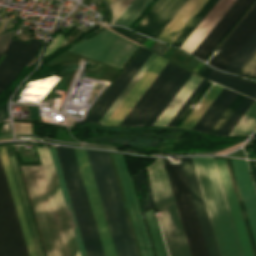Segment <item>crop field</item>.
Segmentation results:
<instances>
[{
    "label": "crop field",
    "mask_w": 256,
    "mask_h": 256,
    "mask_svg": "<svg viewBox=\"0 0 256 256\" xmlns=\"http://www.w3.org/2000/svg\"><path fill=\"white\" fill-rule=\"evenodd\" d=\"M213 158L214 159H224V161H225V164H226V167H227L230 179H231V183H232V186H233V189H234L237 201H238V205H239V208L241 211V215H242L245 229H246V232L248 235L252 253H253V256H256V245H255V242H256V194L252 188V184H251L250 178L248 176L247 163H246V161L232 159V163H233L234 170H235V173L237 176L241 194H242V197L244 200V204H245L248 218L250 221V225H251V228L253 231L255 242H254L251 228H250V225L248 222L244 204H243V201L241 198L239 187H238V184L236 181L234 170H233V167L231 164V160H230V158H227V157H213ZM214 161H215V165L217 168V172H218L221 186H222V189L224 192V196L226 199V203L228 206V210L230 213V217H231L232 224H233V227L235 230V234L237 237V241L239 244L241 254H242V256H252L249 242L247 239V235H246L244 225L242 222V218L240 215V211H239V208L237 205V201H236V198H235V195H234V192H233L230 180H229V176H228L224 161L223 160H214ZM226 161L231 169L237 193L235 191L234 184H233Z\"/></svg>",
    "instance_id": "crop-field-1"
},
{
    "label": "crop field",
    "mask_w": 256,
    "mask_h": 256,
    "mask_svg": "<svg viewBox=\"0 0 256 256\" xmlns=\"http://www.w3.org/2000/svg\"><path fill=\"white\" fill-rule=\"evenodd\" d=\"M118 256H138L108 152L86 150Z\"/></svg>",
    "instance_id": "crop-field-2"
},
{
    "label": "crop field",
    "mask_w": 256,
    "mask_h": 256,
    "mask_svg": "<svg viewBox=\"0 0 256 256\" xmlns=\"http://www.w3.org/2000/svg\"><path fill=\"white\" fill-rule=\"evenodd\" d=\"M221 256H241L212 157H192Z\"/></svg>",
    "instance_id": "crop-field-3"
},
{
    "label": "crop field",
    "mask_w": 256,
    "mask_h": 256,
    "mask_svg": "<svg viewBox=\"0 0 256 256\" xmlns=\"http://www.w3.org/2000/svg\"><path fill=\"white\" fill-rule=\"evenodd\" d=\"M158 213H162L161 224L170 256H190L166 169L162 159L145 167Z\"/></svg>",
    "instance_id": "crop-field-4"
},
{
    "label": "crop field",
    "mask_w": 256,
    "mask_h": 256,
    "mask_svg": "<svg viewBox=\"0 0 256 256\" xmlns=\"http://www.w3.org/2000/svg\"><path fill=\"white\" fill-rule=\"evenodd\" d=\"M48 256H68L42 166L22 167Z\"/></svg>",
    "instance_id": "crop-field-5"
},
{
    "label": "crop field",
    "mask_w": 256,
    "mask_h": 256,
    "mask_svg": "<svg viewBox=\"0 0 256 256\" xmlns=\"http://www.w3.org/2000/svg\"><path fill=\"white\" fill-rule=\"evenodd\" d=\"M164 161H180L165 158ZM191 256H208L180 162H165Z\"/></svg>",
    "instance_id": "crop-field-6"
},
{
    "label": "crop field",
    "mask_w": 256,
    "mask_h": 256,
    "mask_svg": "<svg viewBox=\"0 0 256 256\" xmlns=\"http://www.w3.org/2000/svg\"><path fill=\"white\" fill-rule=\"evenodd\" d=\"M185 72L169 62L120 125H145Z\"/></svg>",
    "instance_id": "crop-field-7"
},
{
    "label": "crop field",
    "mask_w": 256,
    "mask_h": 256,
    "mask_svg": "<svg viewBox=\"0 0 256 256\" xmlns=\"http://www.w3.org/2000/svg\"><path fill=\"white\" fill-rule=\"evenodd\" d=\"M137 47L105 29L100 34L74 45L70 52L122 68Z\"/></svg>",
    "instance_id": "crop-field-8"
},
{
    "label": "crop field",
    "mask_w": 256,
    "mask_h": 256,
    "mask_svg": "<svg viewBox=\"0 0 256 256\" xmlns=\"http://www.w3.org/2000/svg\"><path fill=\"white\" fill-rule=\"evenodd\" d=\"M0 256H29L0 160Z\"/></svg>",
    "instance_id": "crop-field-9"
},
{
    "label": "crop field",
    "mask_w": 256,
    "mask_h": 256,
    "mask_svg": "<svg viewBox=\"0 0 256 256\" xmlns=\"http://www.w3.org/2000/svg\"><path fill=\"white\" fill-rule=\"evenodd\" d=\"M106 256H117L85 149L74 148Z\"/></svg>",
    "instance_id": "crop-field-10"
},
{
    "label": "crop field",
    "mask_w": 256,
    "mask_h": 256,
    "mask_svg": "<svg viewBox=\"0 0 256 256\" xmlns=\"http://www.w3.org/2000/svg\"><path fill=\"white\" fill-rule=\"evenodd\" d=\"M255 31L256 3L220 45L219 53L214 55L207 63L224 70Z\"/></svg>",
    "instance_id": "crop-field-11"
},
{
    "label": "crop field",
    "mask_w": 256,
    "mask_h": 256,
    "mask_svg": "<svg viewBox=\"0 0 256 256\" xmlns=\"http://www.w3.org/2000/svg\"><path fill=\"white\" fill-rule=\"evenodd\" d=\"M40 45L41 42L33 37L29 44L11 39L5 51L7 55L0 63V93L16 78L23 67L28 64Z\"/></svg>",
    "instance_id": "crop-field-12"
},
{
    "label": "crop field",
    "mask_w": 256,
    "mask_h": 256,
    "mask_svg": "<svg viewBox=\"0 0 256 256\" xmlns=\"http://www.w3.org/2000/svg\"><path fill=\"white\" fill-rule=\"evenodd\" d=\"M61 225L69 256H79L48 147L37 146Z\"/></svg>",
    "instance_id": "crop-field-13"
},
{
    "label": "crop field",
    "mask_w": 256,
    "mask_h": 256,
    "mask_svg": "<svg viewBox=\"0 0 256 256\" xmlns=\"http://www.w3.org/2000/svg\"><path fill=\"white\" fill-rule=\"evenodd\" d=\"M209 256H220L191 157L180 158Z\"/></svg>",
    "instance_id": "crop-field-14"
},
{
    "label": "crop field",
    "mask_w": 256,
    "mask_h": 256,
    "mask_svg": "<svg viewBox=\"0 0 256 256\" xmlns=\"http://www.w3.org/2000/svg\"><path fill=\"white\" fill-rule=\"evenodd\" d=\"M151 53L152 52L142 47L140 48L137 54L133 57V59L119 75V77L115 80V82L111 85L108 91L104 94L101 100L87 116V121L98 123L104 113L112 105V103L119 96V94L122 92V90L129 83V81L132 79V77L135 75V73L138 71V69L142 66V64Z\"/></svg>",
    "instance_id": "crop-field-15"
},
{
    "label": "crop field",
    "mask_w": 256,
    "mask_h": 256,
    "mask_svg": "<svg viewBox=\"0 0 256 256\" xmlns=\"http://www.w3.org/2000/svg\"><path fill=\"white\" fill-rule=\"evenodd\" d=\"M57 156L61 165V169L65 178V182L69 191V195L73 204V208L77 217V221L84 240L87 256H97L93 240L90 234L86 216L83 210L81 199L78 193L76 182L73 176L69 158L65 147H55Z\"/></svg>",
    "instance_id": "crop-field-16"
},
{
    "label": "crop field",
    "mask_w": 256,
    "mask_h": 256,
    "mask_svg": "<svg viewBox=\"0 0 256 256\" xmlns=\"http://www.w3.org/2000/svg\"><path fill=\"white\" fill-rule=\"evenodd\" d=\"M187 0H157L134 30L154 38L163 30Z\"/></svg>",
    "instance_id": "crop-field-17"
},
{
    "label": "crop field",
    "mask_w": 256,
    "mask_h": 256,
    "mask_svg": "<svg viewBox=\"0 0 256 256\" xmlns=\"http://www.w3.org/2000/svg\"><path fill=\"white\" fill-rule=\"evenodd\" d=\"M167 63L157 56L105 124L119 125Z\"/></svg>",
    "instance_id": "crop-field-18"
},
{
    "label": "crop field",
    "mask_w": 256,
    "mask_h": 256,
    "mask_svg": "<svg viewBox=\"0 0 256 256\" xmlns=\"http://www.w3.org/2000/svg\"><path fill=\"white\" fill-rule=\"evenodd\" d=\"M253 0H236L192 54L202 59L212 51ZM202 48V50H200Z\"/></svg>",
    "instance_id": "crop-field-19"
},
{
    "label": "crop field",
    "mask_w": 256,
    "mask_h": 256,
    "mask_svg": "<svg viewBox=\"0 0 256 256\" xmlns=\"http://www.w3.org/2000/svg\"><path fill=\"white\" fill-rule=\"evenodd\" d=\"M112 154H113L116 166H117L120 181L122 183L125 199H126V202H127L129 212H130V216H131V218L133 220V223H134V226H135V230H136L139 245H140L141 254H142V256H152V252H151L150 245H149V242H148V238H147V235H146V232H145V228H144L143 221H142V218H141V214H140V211H139V207H138V204H137V201H136V197H135V194H134L132 183H131V180H130V177H129L127 166H126V163H125V160H124V156L120 155V154H114V153H112ZM131 201L134 205L135 213H136L139 225H140V229H141V233H142V236H143V240H144V243H145L147 253L145 251L144 243H143V240H142V237H141V234H140V231H139V228H138V225H137L134 213H133Z\"/></svg>",
    "instance_id": "crop-field-20"
},
{
    "label": "crop field",
    "mask_w": 256,
    "mask_h": 256,
    "mask_svg": "<svg viewBox=\"0 0 256 256\" xmlns=\"http://www.w3.org/2000/svg\"><path fill=\"white\" fill-rule=\"evenodd\" d=\"M134 177H135V180H136V184H137L139 193L141 195V202H142L143 211L144 212L147 211L148 207H147V203H146V199H145V195H144L142 182H143V184L145 186V189H146L149 209L154 208L155 205H154L153 197H152V194H151V191H150V188H149L148 179H147L145 169H142L140 172H138L136 175H134ZM141 180H142V182H141ZM153 210H156V209L154 208L150 211H153ZM150 211H147V212H150ZM147 212H145V213H147ZM146 215H147V219H148V222H149V225H150V229H151V232H152V236H153V239H154V243H155V246H156V249H157L158 256H167V253H166V250H165V247H164V243H163V240H162V237H161L162 233L160 234V230H159V227H158V224H157L156 217L154 216V213L150 212V213H147ZM146 215H145V218H146ZM147 219H146V221H147ZM148 222H147V225H148ZM148 228H149V226H148ZM150 229H149V232H150ZM151 232H150V235H151ZM152 236H151V239H152ZM153 239H152V242H153ZM154 243H153V245H154ZM155 246H154V249H155ZM155 252H156V250H155ZM157 253H156V256H157Z\"/></svg>",
    "instance_id": "crop-field-21"
},
{
    "label": "crop field",
    "mask_w": 256,
    "mask_h": 256,
    "mask_svg": "<svg viewBox=\"0 0 256 256\" xmlns=\"http://www.w3.org/2000/svg\"><path fill=\"white\" fill-rule=\"evenodd\" d=\"M5 148H6L8 159H9V162H10V165H11V169H12V172H13V176H14L15 183H16V186H17V190H18V193H19V197H20V200H21V203H22V207H23V210H24V214H25V217H26V221H27V224H28V228H29L30 235H31V238H32V241H33V245H34V248H35L36 255L37 256H45L44 252H43V249H42L40 239H39V235H38V232H37V229H36V225H35V222H34V219H33V215H32L31 209H30L28 198H27V195H26V192H25V188H24V185H23V182H22V178H21V175H20V172H19V168H18V165H17V162H16L15 155H14V153H12L10 155L8 153V151H10V150L13 151V148H12V146H6Z\"/></svg>",
    "instance_id": "crop-field-22"
},
{
    "label": "crop field",
    "mask_w": 256,
    "mask_h": 256,
    "mask_svg": "<svg viewBox=\"0 0 256 256\" xmlns=\"http://www.w3.org/2000/svg\"><path fill=\"white\" fill-rule=\"evenodd\" d=\"M229 1L232 2L233 0ZM233 2L230 3L226 0H219L212 10L207 14V16L202 20V22L197 26V28L192 32V34L187 38V40L182 44L181 48L192 53L203 38L208 34V32L213 28V26L218 22V20L223 16V14L228 10V8L233 4Z\"/></svg>",
    "instance_id": "crop-field-23"
},
{
    "label": "crop field",
    "mask_w": 256,
    "mask_h": 256,
    "mask_svg": "<svg viewBox=\"0 0 256 256\" xmlns=\"http://www.w3.org/2000/svg\"><path fill=\"white\" fill-rule=\"evenodd\" d=\"M206 1L207 0H188L159 34L157 39L171 44Z\"/></svg>",
    "instance_id": "crop-field-24"
},
{
    "label": "crop field",
    "mask_w": 256,
    "mask_h": 256,
    "mask_svg": "<svg viewBox=\"0 0 256 256\" xmlns=\"http://www.w3.org/2000/svg\"><path fill=\"white\" fill-rule=\"evenodd\" d=\"M66 148H67V152H68V155H69V158H70L72 169H73V172H74V175H75V179H76V182H77L79 193H80V196H81V199H82L84 210H85V213H86V216H87L89 227H90V230H91V233H92V237H93V240H94V244H95V247H96L97 254H98V256H105L103 248H102V244H101V241H100V238H99V234H98V231H97V228H96L95 220H94V217L92 215L90 204H89V201H88V198H87V194H86V191H85V187H84V184H83V180H82V177H81L79 166H78V163H77V160H76L74 149L69 148V147H66Z\"/></svg>",
    "instance_id": "crop-field-25"
},
{
    "label": "crop field",
    "mask_w": 256,
    "mask_h": 256,
    "mask_svg": "<svg viewBox=\"0 0 256 256\" xmlns=\"http://www.w3.org/2000/svg\"><path fill=\"white\" fill-rule=\"evenodd\" d=\"M202 78L191 75L185 85L181 88L175 98L171 101L165 111L161 114L154 125L167 126L176 112L179 110L180 106L186 101L190 94L194 91L197 85L201 82Z\"/></svg>",
    "instance_id": "crop-field-26"
},
{
    "label": "crop field",
    "mask_w": 256,
    "mask_h": 256,
    "mask_svg": "<svg viewBox=\"0 0 256 256\" xmlns=\"http://www.w3.org/2000/svg\"><path fill=\"white\" fill-rule=\"evenodd\" d=\"M0 156H1V159H2V163H3L4 170H5V173H6V176H7V180H8L9 187H10V190H11V193H12V197H13V200H14V204H15V207H16V210H17L19 220H20V224H21V227H22V231H23V234H24V237H25V241H26V244H27L29 254H30V256H36L35 252H34L32 242H31V238H30V235H29V231H28V228H27V224H26V221H25V217H24V214H23V210H22V207H21V204H20V200H19V197H18V193H17V190H16V186H15V183H14V179H13V176H12V172H11V169H10V166H9V162H8L7 155H6L4 147L0 148Z\"/></svg>",
    "instance_id": "crop-field-27"
},
{
    "label": "crop field",
    "mask_w": 256,
    "mask_h": 256,
    "mask_svg": "<svg viewBox=\"0 0 256 256\" xmlns=\"http://www.w3.org/2000/svg\"><path fill=\"white\" fill-rule=\"evenodd\" d=\"M49 148H50V152H51L52 159H53V162H54V166H55V169H56V173H57V176H58V180H59V183H60V187H61V190H62V194H63V197H64V201H65V204H66V207H67V211H68V214H69V218H70V221H71V225H72V228H73V232H74V235H75V239H76V242H77V246H78V249H79L80 256H86L85 248H84V245H83V242H82V239H81V235H80V231H79V228H78L75 216H74V212H73V209H72V206H71V202H70V199H69V196H68V192H67V189H66V186H65V182H64V179H63V176H62V172H61V169H60V166H59V162H58V159H57V156H56L55 149H54V147H49Z\"/></svg>",
    "instance_id": "crop-field-28"
},
{
    "label": "crop field",
    "mask_w": 256,
    "mask_h": 256,
    "mask_svg": "<svg viewBox=\"0 0 256 256\" xmlns=\"http://www.w3.org/2000/svg\"><path fill=\"white\" fill-rule=\"evenodd\" d=\"M208 78L252 96L256 93V83L252 81H242L238 78L215 70L211 72Z\"/></svg>",
    "instance_id": "crop-field-29"
},
{
    "label": "crop field",
    "mask_w": 256,
    "mask_h": 256,
    "mask_svg": "<svg viewBox=\"0 0 256 256\" xmlns=\"http://www.w3.org/2000/svg\"><path fill=\"white\" fill-rule=\"evenodd\" d=\"M223 87L218 85H214V87L210 90V92L206 95V97L200 103L201 105L197 110L193 109L189 116L182 123V127L192 129L196 122L200 119V117L204 114L207 108L211 105V103L215 100L218 94L222 91Z\"/></svg>",
    "instance_id": "crop-field-30"
},
{
    "label": "crop field",
    "mask_w": 256,
    "mask_h": 256,
    "mask_svg": "<svg viewBox=\"0 0 256 256\" xmlns=\"http://www.w3.org/2000/svg\"><path fill=\"white\" fill-rule=\"evenodd\" d=\"M255 50L256 32L245 44V46L240 50L236 57L231 61V63L226 67L225 71L237 73L239 69L244 65V63L249 59V57L254 53Z\"/></svg>",
    "instance_id": "crop-field-31"
},
{
    "label": "crop field",
    "mask_w": 256,
    "mask_h": 256,
    "mask_svg": "<svg viewBox=\"0 0 256 256\" xmlns=\"http://www.w3.org/2000/svg\"><path fill=\"white\" fill-rule=\"evenodd\" d=\"M256 128V100L233 128L229 135L251 134Z\"/></svg>",
    "instance_id": "crop-field-32"
},
{
    "label": "crop field",
    "mask_w": 256,
    "mask_h": 256,
    "mask_svg": "<svg viewBox=\"0 0 256 256\" xmlns=\"http://www.w3.org/2000/svg\"><path fill=\"white\" fill-rule=\"evenodd\" d=\"M216 2L217 0H208L200 9V11L195 15V17L190 21V23L185 27V29L180 33V35L175 39L172 45L179 47Z\"/></svg>",
    "instance_id": "crop-field-33"
},
{
    "label": "crop field",
    "mask_w": 256,
    "mask_h": 256,
    "mask_svg": "<svg viewBox=\"0 0 256 256\" xmlns=\"http://www.w3.org/2000/svg\"><path fill=\"white\" fill-rule=\"evenodd\" d=\"M157 55L151 54V56L148 58V60L144 63V65L141 67V69L138 71V73L134 76V78L131 80V82L127 85V87L124 89V91L120 94V96L117 98V100L113 103V105L110 107V109L107 111V113L103 116V118L100 120L99 123L104 124L105 121L108 119V117L112 114V112L116 109V107L119 105V103L123 100V98L126 96V94L130 91V89L133 87V85L137 82V80L140 78V76L143 74V72L147 69V67L150 65V63L153 61V59Z\"/></svg>",
    "instance_id": "crop-field-34"
},
{
    "label": "crop field",
    "mask_w": 256,
    "mask_h": 256,
    "mask_svg": "<svg viewBox=\"0 0 256 256\" xmlns=\"http://www.w3.org/2000/svg\"><path fill=\"white\" fill-rule=\"evenodd\" d=\"M148 0H133L114 24L127 26Z\"/></svg>",
    "instance_id": "crop-field-35"
},
{
    "label": "crop field",
    "mask_w": 256,
    "mask_h": 256,
    "mask_svg": "<svg viewBox=\"0 0 256 256\" xmlns=\"http://www.w3.org/2000/svg\"><path fill=\"white\" fill-rule=\"evenodd\" d=\"M238 93L233 91L227 96V98L223 101L220 107L216 110V112L212 115L209 121L205 124L201 131L209 132L210 129L214 126V124L218 121V119L222 116L225 110L229 107V105L233 102V100L237 97Z\"/></svg>",
    "instance_id": "crop-field-36"
},
{
    "label": "crop field",
    "mask_w": 256,
    "mask_h": 256,
    "mask_svg": "<svg viewBox=\"0 0 256 256\" xmlns=\"http://www.w3.org/2000/svg\"><path fill=\"white\" fill-rule=\"evenodd\" d=\"M192 73L186 72V74L183 76V78L179 81V83L175 86V88L172 90V92L168 95V97L165 99V101L161 104V106L158 108V110L154 113V115L150 118V120L147 122L146 125H153L154 122L157 120V118L160 116V114L164 111V109L167 107V105L170 103V101L174 98V96L177 94V92L180 90V88L184 85V83L187 81V79L190 77Z\"/></svg>",
    "instance_id": "crop-field-37"
},
{
    "label": "crop field",
    "mask_w": 256,
    "mask_h": 256,
    "mask_svg": "<svg viewBox=\"0 0 256 256\" xmlns=\"http://www.w3.org/2000/svg\"><path fill=\"white\" fill-rule=\"evenodd\" d=\"M230 90L224 88L223 91L220 93V95L216 98V100L212 103V105L209 107V109L205 112V114L201 117V119L198 121V123L194 126L193 129L195 130H201V128L204 126V124L208 121V119L211 117V115L215 112V110L219 107V105L222 103V101L226 98V96L229 94Z\"/></svg>",
    "instance_id": "crop-field-38"
},
{
    "label": "crop field",
    "mask_w": 256,
    "mask_h": 256,
    "mask_svg": "<svg viewBox=\"0 0 256 256\" xmlns=\"http://www.w3.org/2000/svg\"><path fill=\"white\" fill-rule=\"evenodd\" d=\"M250 100H251V98H249L247 96L244 97V99L241 101V103L238 105V107L234 110V112L231 114V116L228 118V120L224 123V125L218 131V133H217L218 135L225 134V132L232 125V123L236 120V118L243 111V109L247 106V104L250 102Z\"/></svg>",
    "instance_id": "crop-field-39"
},
{
    "label": "crop field",
    "mask_w": 256,
    "mask_h": 256,
    "mask_svg": "<svg viewBox=\"0 0 256 256\" xmlns=\"http://www.w3.org/2000/svg\"><path fill=\"white\" fill-rule=\"evenodd\" d=\"M244 95L239 94L238 97L234 100V102L230 105V107L226 110L223 116L219 119V121L215 124V126L211 129L210 133L216 134L223 123L227 120L233 110L237 107L240 101L243 99Z\"/></svg>",
    "instance_id": "crop-field-40"
},
{
    "label": "crop field",
    "mask_w": 256,
    "mask_h": 256,
    "mask_svg": "<svg viewBox=\"0 0 256 256\" xmlns=\"http://www.w3.org/2000/svg\"><path fill=\"white\" fill-rule=\"evenodd\" d=\"M132 0H113L110 4L113 16L110 24H113L114 21L119 17V15L124 11L128 4Z\"/></svg>",
    "instance_id": "crop-field-41"
},
{
    "label": "crop field",
    "mask_w": 256,
    "mask_h": 256,
    "mask_svg": "<svg viewBox=\"0 0 256 256\" xmlns=\"http://www.w3.org/2000/svg\"><path fill=\"white\" fill-rule=\"evenodd\" d=\"M256 78V51L238 72Z\"/></svg>",
    "instance_id": "crop-field-42"
},
{
    "label": "crop field",
    "mask_w": 256,
    "mask_h": 256,
    "mask_svg": "<svg viewBox=\"0 0 256 256\" xmlns=\"http://www.w3.org/2000/svg\"><path fill=\"white\" fill-rule=\"evenodd\" d=\"M211 82L207 81L203 88L199 91V93L195 96L192 102L188 105L185 111L181 114V116L177 119L173 126H178L179 123L183 120V118L188 114L189 108L194 106V104L198 101V99L202 96V94L206 91V89L210 86Z\"/></svg>",
    "instance_id": "crop-field-43"
},
{
    "label": "crop field",
    "mask_w": 256,
    "mask_h": 256,
    "mask_svg": "<svg viewBox=\"0 0 256 256\" xmlns=\"http://www.w3.org/2000/svg\"><path fill=\"white\" fill-rule=\"evenodd\" d=\"M111 28L117 30L118 32L122 33L123 35H125V36H127V37H129V38H131V39L141 43V44L146 39V37L141 36L139 34H136V33L132 32V31L126 29V28H119V27H111Z\"/></svg>",
    "instance_id": "crop-field-44"
},
{
    "label": "crop field",
    "mask_w": 256,
    "mask_h": 256,
    "mask_svg": "<svg viewBox=\"0 0 256 256\" xmlns=\"http://www.w3.org/2000/svg\"><path fill=\"white\" fill-rule=\"evenodd\" d=\"M206 80H202V82L199 84V86L195 89V91L191 94V96L188 98V100L184 103L183 107L178 111V113L175 115V117L172 119V121L169 123L168 126H172L173 123L176 121V119L180 116V114L184 111V109L187 107V105L191 102V100L194 98V96L198 93V91L202 88V86L205 84Z\"/></svg>",
    "instance_id": "crop-field-45"
},
{
    "label": "crop field",
    "mask_w": 256,
    "mask_h": 256,
    "mask_svg": "<svg viewBox=\"0 0 256 256\" xmlns=\"http://www.w3.org/2000/svg\"><path fill=\"white\" fill-rule=\"evenodd\" d=\"M14 33H15V30L0 34V52L2 53L4 52L10 38L13 37Z\"/></svg>",
    "instance_id": "crop-field-46"
},
{
    "label": "crop field",
    "mask_w": 256,
    "mask_h": 256,
    "mask_svg": "<svg viewBox=\"0 0 256 256\" xmlns=\"http://www.w3.org/2000/svg\"><path fill=\"white\" fill-rule=\"evenodd\" d=\"M153 2V0H149L145 6L140 10V12L135 16V18L130 22L128 27H132L133 24L138 20V18L143 14V12L148 8V6Z\"/></svg>",
    "instance_id": "crop-field-47"
},
{
    "label": "crop field",
    "mask_w": 256,
    "mask_h": 256,
    "mask_svg": "<svg viewBox=\"0 0 256 256\" xmlns=\"http://www.w3.org/2000/svg\"><path fill=\"white\" fill-rule=\"evenodd\" d=\"M167 47L168 46H166V45H164V44H162L160 42L155 41V43H154V45L152 47V50H155V51H157V52L162 54Z\"/></svg>",
    "instance_id": "crop-field-48"
},
{
    "label": "crop field",
    "mask_w": 256,
    "mask_h": 256,
    "mask_svg": "<svg viewBox=\"0 0 256 256\" xmlns=\"http://www.w3.org/2000/svg\"><path fill=\"white\" fill-rule=\"evenodd\" d=\"M213 68H211V67H209V66H205L204 68H203V70L200 72V74H202V75H204V76H208V74L211 72V70H212Z\"/></svg>",
    "instance_id": "crop-field-49"
},
{
    "label": "crop field",
    "mask_w": 256,
    "mask_h": 256,
    "mask_svg": "<svg viewBox=\"0 0 256 256\" xmlns=\"http://www.w3.org/2000/svg\"><path fill=\"white\" fill-rule=\"evenodd\" d=\"M253 99L251 100V102L248 104V106L244 109V111L240 114V116L237 118V120L233 123V125L229 128V130L226 132L225 135H228L229 132L232 130V128L235 126V124L237 123V121L239 120V118L242 116V114L245 112V110L249 107V105L252 103Z\"/></svg>",
    "instance_id": "crop-field-50"
},
{
    "label": "crop field",
    "mask_w": 256,
    "mask_h": 256,
    "mask_svg": "<svg viewBox=\"0 0 256 256\" xmlns=\"http://www.w3.org/2000/svg\"><path fill=\"white\" fill-rule=\"evenodd\" d=\"M0 120H6L5 112H4V108L3 107L0 110Z\"/></svg>",
    "instance_id": "crop-field-51"
},
{
    "label": "crop field",
    "mask_w": 256,
    "mask_h": 256,
    "mask_svg": "<svg viewBox=\"0 0 256 256\" xmlns=\"http://www.w3.org/2000/svg\"><path fill=\"white\" fill-rule=\"evenodd\" d=\"M251 161V165H252V168H253V172H254V175H255V179H256V161Z\"/></svg>",
    "instance_id": "crop-field-52"
},
{
    "label": "crop field",
    "mask_w": 256,
    "mask_h": 256,
    "mask_svg": "<svg viewBox=\"0 0 256 256\" xmlns=\"http://www.w3.org/2000/svg\"><path fill=\"white\" fill-rule=\"evenodd\" d=\"M153 41H154V40L148 38V40H147L143 45H145V46H147V47L150 48V46H151V44L153 43ZM152 45H153V44H152Z\"/></svg>",
    "instance_id": "crop-field-53"
},
{
    "label": "crop field",
    "mask_w": 256,
    "mask_h": 256,
    "mask_svg": "<svg viewBox=\"0 0 256 256\" xmlns=\"http://www.w3.org/2000/svg\"><path fill=\"white\" fill-rule=\"evenodd\" d=\"M8 20H9V19H7V21H6V23H5V25H4L3 29H2V31L4 30V28H5V26H6L7 22H8ZM10 21H11V19L9 20V22H8V24H7L6 28H5V30L7 29V27H8V25H9ZM5 30H4V31H5ZM2 31H1V32H2Z\"/></svg>",
    "instance_id": "crop-field-54"
},
{
    "label": "crop field",
    "mask_w": 256,
    "mask_h": 256,
    "mask_svg": "<svg viewBox=\"0 0 256 256\" xmlns=\"http://www.w3.org/2000/svg\"><path fill=\"white\" fill-rule=\"evenodd\" d=\"M6 104H7V103L4 104V107H5L6 117H7V119H8V118H9V115H8L7 110H6Z\"/></svg>",
    "instance_id": "crop-field-55"
},
{
    "label": "crop field",
    "mask_w": 256,
    "mask_h": 256,
    "mask_svg": "<svg viewBox=\"0 0 256 256\" xmlns=\"http://www.w3.org/2000/svg\"><path fill=\"white\" fill-rule=\"evenodd\" d=\"M83 146H85V145H83ZM90 147H99V146H90ZM99 148H107V147H99ZM107 149H113V148H107ZM115 150H117V149H115Z\"/></svg>",
    "instance_id": "crop-field-56"
},
{
    "label": "crop field",
    "mask_w": 256,
    "mask_h": 256,
    "mask_svg": "<svg viewBox=\"0 0 256 256\" xmlns=\"http://www.w3.org/2000/svg\"><path fill=\"white\" fill-rule=\"evenodd\" d=\"M44 141L53 142V141H49V140H46V139ZM53 143H57V142H53ZM61 144H63V143H61ZM69 145H75V144H69ZM77 146H79V145H77Z\"/></svg>",
    "instance_id": "crop-field-57"
},
{
    "label": "crop field",
    "mask_w": 256,
    "mask_h": 256,
    "mask_svg": "<svg viewBox=\"0 0 256 256\" xmlns=\"http://www.w3.org/2000/svg\"><path fill=\"white\" fill-rule=\"evenodd\" d=\"M106 1H107L108 4H110V2H111L112 0H106Z\"/></svg>",
    "instance_id": "crop-field-58"
},
{
    "label": "crop field",
    "mask_w": 256,
    "mask_h": 256,
    "mask_svg": "<svg viewBox=\"0 0 256 256\" xmlns=\"http://www.w3.org/2000/svg\"><path fill=\"white\" fill-rule=\"evenodd\" d=\"M2 55V53H0V56Z\"/></svg>",
    "instance_id": "crop-field-59"
},
{
    "label": "crop field",
    "mask_w": 256,
    "mask_h": 256,
    "mask_svg": "<svg viewBox=\"0 0 256 256\" xmlns=\"http://www.w3.org/2000/svg\"><path fill=\"white\" fill-rule=\"evenodd\" d=\"M255 97H256V95H255Z\"/></svg>",
    "instance_id": "crop-field-60"
}]
</instances>
